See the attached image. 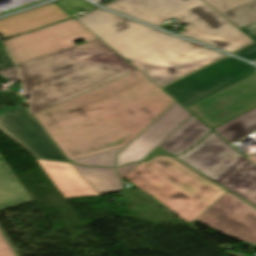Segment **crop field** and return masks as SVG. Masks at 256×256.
<instances>
[{
  "label": "crop field",
  "mask_w": 256,
  "mask_h": 256,
  "mask_svg": "<svg viewBox=\"0 0 256 256\" xmlns=\"http://www.w3.org/2000/svg\"><path fill=\"white\" fill-rule=\"evenodd\" d=\"M124 178L187 223L201 216L227 192L169 156L140 162Z\"/></svg>",
  "instance_id": "crop-field-5"
},
{
  "label": "crop field",
  "mask_w": 256,
  "mask_h": 256,
  "mask_svg": "<svg viewBox=\"0 0 256 256\" xmlns=\"http://www.w3.org/2000/svg\"><path fill=\"white\" fill-rule=\"evenodd\" d=\"M29 202H33V199L4 160L0 161V209Z\"/></svg>",
  "instance_id": "crop-field-16"
},
{
  "label": "crop field",
  "mask_w": 256,
  "mask_h": 256,
  "mask_svg": "<svg viewBox=\"0 0 256 256\" xmlns=\"http://www.w3.org/2000/svg\"><path fill=\"white\" fill-rule=\"evenodd\" d=\"M230 144L256 131V107L213 129Z\"/></svg>",
  "instance_id": "crop-field-18"
},
{
  "label": "crop field",
  "mask_w": 256,
  "mask_h": 256,
  "mask_svg": "<svg viewBox=\"0 0 256 256\" xmlns=\"http://www.w3.org/2000/svg\"><path fill=\"white\" fill-rule=\"evenodd\" d=\"M138 70L35 114L69 161L125 146L172 102Z\"/></svg>",
  "instance_id": "crop-field-1"
},
{
  "label": "crop field",
  "mask_w": 256,
  "mask_h": 256,
  "mask_svg": "<svg viewBox=\"0 0 256 256\" xmlns=\"http://www.w3.org/2000/svg\"><path fill=\"white\" fill-rule=\"evenodd\" d=\"M76 20L159 87L226 56L99 8Z\"/></svg>",
  "instance_id": "crop-field-2"
},
{
  "label": "crop field",
  "mask_w": 256,
  "mask_h": 256,
  "mask_svg": "<svg viewBox=\"0 0 256 256\" xmlns=\"http://www.w3.org/2000/svg\"><path fill=\"white\" fill-rule=\"evenodd\" d=\"M0 256H15L0 232Z\"/></svg>",
  "instance_id": "crop-field-21"
},
{
  "label": "crop field",
  "mask_w": 256,
  "mask_h": 256,
  "mask_svg": "<svg viewBox=\"0 0 256 256\" xmlns=\"http://www.w3.org/2000/svg\"><path fill=\"white\" fill-rule=\"evenodd\" d=\"M0 231L2 232L3 236L5 237V239L7 240V242L9 243V245L11 246L12 250L14 251V253L16 254V256H20L18 254V252L16 251L15 247L13 246V244L11 243V241L9 240V238L7 237V235L5 234V232L3 231V229L0 226Z\"/></svg>",
  "instance_id": "crop-field-26"
},
{
  "label": "crop field",
  "mask_w": 256,
  "mask_h": 256,
  "mask_svg": "<svg viewBox=\"0 0 256 256\" xmlns=\"http://www.w3.org/2000/svg\"><path fill=\"white\" fill-rule=\"evenodd\" d=\"M137 164H138V163L132 164V165H127V166H124V167H122V168H119L118 170H119V172H120V174H121V177L123 178V177H124L129 171H131Z\"/></svg>",
  "instance_id": "crop-field-25"
},
{
  "label": "crop field",
  "mask_w": 256,
  "mask_h": 256,
  "mask_svg": "<svg viewBox=\"0 0 256 256\" xmlns=\"http://www.w3.org/2000/svg\"><path fill=\"white\" fill-rule=\"evenodd\" d=\"M235 27L255 41L254 44L234 53L256 59V0H202Z\"/></svg>",
  "instance_id": "crop-field-12"
},
{
  "label": "crop field",
  "mask_w": 256,
  "mask_h": 256,
  "mask_svg": "<svg viewBox=\"0 0 256 256\" xmlns=\"http://www.w3.org/2000/svg\"><path fill=\"white\" fill-rule=\"evenodd\" d=\"M83 60L128 72L135 70L133 66L126 62L113 50Z\"/></svg>",
  "instance_id": "crop-field-19"
},
{
  "label": "crop field",
  "mask_w": 256,
  "mask_h": 256,
  "mask_svg": "<svg viewBox=\"0 0 256 256\" xmlns=\"http://www.w3.org/2000/svg\"><path fill=\"white\" fill-rule=\"evenodd\" d=\"M79 39L83 42L73 43ZM95 39L98 37L75 19H70L5 40V43L18 65Z\"/></svg>",
  "instance_id": "crop-field-8"
},
{
  "label": "crop field",
  "mask_w": 256,
  "mask_h": 256,
  "mask_svg": "<svg viewBox=\"0 0 256 256\" xmlns=\"http://www.w3.org/2000/svg\"><path fill=\"white\" fill-rule=\"evenodd\" d=\"M71 18L54 3L0 20L4 39Z\"/></svg>",
  "instance_id": "crop-field-13"
},
{
  "label": "crop field",
  "mask_w": 256,
  "mask_h": 256,
  "mask_svg": "<svg viewBox=\"0 0 256 256\" xmlns=\"http://www.w3.org/2000/svg\"><path fill=\"white\" fill-rule=\"evenodd\" d=\"M191 114L177 102L118 155L117 166L141 161Z\"/></svg>",
  "instance_id": "crop-field-11"
},
{
  "label": "crop field",
  "mask_w": 256,
  "mask_h": 256,
  "mask_svg": "<svg viewBox=\"0 0 256 256\" xmlns=\"http://www.w3.org/2000/svg\"><path fill=\"white\" fill-rule=\"evenodd\" d=\"M104 6L158 27L173 17L188 24L179 34L231 53L254 43L201 0H114Z\"/></svg>",
  "instance_id": "crop-field-6"
},
{
  "label": "crop field",
  "mask_w": 256,
  "mask_h": 256,
  "mask_svg": "<svg viewBox=\"0 0 256 256\" xmlns=\"http://www.w3.org/2000/svg\"><path fill=\"white\" fill-rule=\"evenodd\" d=\"M122 148L112 151L104 152L101 154L93 155L90 157L82 158L79 160L71 161L74 163H80L84 165H101V166H114L115 154Z\"/></svg>",
  "instance_id": "crop-field-20"
},
{
  "label": "crop field",
  "mask_w": 256,
  "mask_h": 256,
  "mask_svg": "<svg viewBox=\"0 0 256 256\" xmlns=\"http://www.w3.org/2000/svg\"><path fill=\"white\" fill-rule=\"evenodd\" d=\"M209 131L211 130L192 115L158 146L173 155L180 154L195 145Z\"/></svg>",
  "instance_id": "crop-field-15"
},
{
  "label": "crop field",
  "mask_w": 256,
  "mask_h": 256,
  "mask_svg": "<svg viewBox=\"0 0 256 256\" xmlns=\"http://www.w3.org/2000/svg\"><path fill=\"white\" fill-rule=\"evenodd\" d=\"M0 130L31 152L34 157L66 161L60 149L21 103L0 114Z\"/></svg>",
  "instance_id": "crop-field-9"
},
{
  "label": "crop field",
  "mask_w": 256,
  "mask_h": 256,
  "mask_svg": "<svg viewBox=\"0 0 256 256\" xmlns=\"http://www.w3.org/2000/svg\"><path fill=\"white\" fill-rule=\"evenodd\" d=\"M36 160L65 198L92 196L95 192L72 164Z\"/></svg>",
  "instance_id": "crop-field-14"
},
{
  "label": "crop field",
  "mask_w": 256,
  "mask_h": 256,
  "mask_svg": "<svg viewBox=\"0 0 256 256\" xmlns=\"http://www.w3.org/2000/svg\"><path fill=\"white\" fill-rule=\"evenodd\" d=\"M111 50L100 39L18 65L29 112L35 114L128 72L81 59Z\"/></svg>",
  "instance_id": "crop-field-4"
},
{
  "label": "crop field",
  "mask_w": 256,
  "mask_h": 256,
  "mask_svg": "<svg viewBox=\"0 0 256 256\" xmlns=\"http://www.w3.org/2000/svg\"><path fill=\"white\" fill-rule=\"evenodd\" d=\"M254 69L229 57L163 89L213 129L256 106Z\"/></svg>",
  "instance_id": "crop-field-3"
},
{
  "label": "crop field",
  "mask_w": 256,
  "mask_h": 256,
  "mask_svg": "<svg viewBox=\"0 0 256 256\" xmlns=\"http://www.w3.org/2000/svg\"><path fill=\"white\" fill-rule=\"evenodd\" d=\"M73 165L94 188L96 191L94 195L109 194L123 189V183L119 179L115 169Z\"/></svg>",
  "instance_id": "crop-field-17"
},
{
  "label": "crop field",
  "mask_w": 256,
  "mask_h": 256,
  "mask_svg": "<svg viewBox=\"0 0 256 256\" xmlns=\"http://www.w3.org/2000/svg\"><path fill=\"white\" fill-rule=\"evenodd\" d=\"M250 159L254 164H256V156L247 157Z\"/></svg>",
  "instance_id": "crop-field-27"
},
{
  "label": "crop field",
  "mask_w": 256,
  "mask_h": 256,
  "mask_svg": "<svg viewBox=\"0 0 256 256\" xmlns=\"http://www.w3.org/2000/svg\"><path fill=\"white\" fill-rule=\"evenodd\" d=\"M197 220L229 236L256 244V209L229 192Z\"/></svg>",
  "instance_id": "crop-field-10"
},
{
  "label": "crop field",
  "mask_w": 256,
  "mask_h": 256,
  "mask_svg": "<svg viewBox=\"0 0 256 256\" xmlns=\"http://www.w3.org/2000/svg\"><path fill=\"white\" fill-rule=\"evenodd\" d=\"M0 44L2 43L0 42ZM11 66H14V63L9 58L5 49L0 50V70Z\"/></svg>",
  "instance_id": "crop-field-22"
},
{
  "label": "crop field",
  "mask_w": 256,
  "mask_h": 256,
  "mask_svg": "<svg viewBox=\"0 0 256 256\" xmlns=\"http://www.w3.org/2000/svg\"><path fill=\"white\" fill-rule=\"evenodd\" d=\"M156 154H165V155H171L168 152H166L165 150L161 149L160 147H156L148 156H146L143 160H147L149 158H151L152 156L156 155ZM142 160V161H143Z\"/></svg>",
  "instance_id": "crop-field-24"
},
{
  "label": "crop field",
  "mask_w": 256,
  "mask_h": 256,
  "mask_svg": "<svg viewBox=\"0 0 256 256\" xmlns=\"http://www.w3.org/2000/svg\"><path fill=\"white\" fill-rule=\"evenodd\" d=\"M240 154L212 131L176 157L256 206V166Z\"/></svg>",
  "instance_id": "crop-field-7"
},
{
  "label": "crop field",
  "mask_w": 256,
  "mask_h": 256,
  "mask_svg": "<svg viewBox=\"0 0 256 256\" xmlns=\"http://www.w3.org/2000/svg\"><path fill=\"white\" fill-rule=\"evenodd\" d=\"M0 75L8 79L18 78L15 66L1 70Z\"/></svg>",
  "instance_id": "crop-field-23"
}]
</instances>
